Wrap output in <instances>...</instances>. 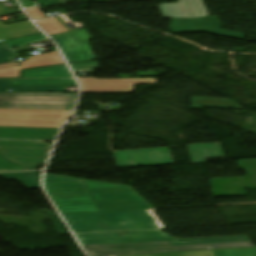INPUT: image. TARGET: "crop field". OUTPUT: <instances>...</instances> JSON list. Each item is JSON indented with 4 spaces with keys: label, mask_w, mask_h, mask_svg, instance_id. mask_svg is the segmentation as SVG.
I'll list each match as a JSON object with an SVG mask.
<instances>
[{
    "label": "crop field",
    "mask_w": 256,
    "mask_h": 256,
    "mask_svg": "<svg viewBox=\"0 0 256 256\" xmlns=\"http://www.w3.org/2000/svg\"><path fill=\"white\" fill-rule=\"evenodd\" d=\"M82 180L88 186L97 211ZM45 188L61 213L153 209L130 186L45 174Z\"/></svg>",
    "instance_id": "obj_1"
},
{
    "label": "crop field",
    "mask_w": 256,
    "mask_h": 256,
    "mask_svg": "<svg viewBox=\"0 0 256 256\" xmlns=\"http://www.w3.org/2000/svg\"><path fill=\"white\" fill-rule=\"evenodd\" d=\"M74 234L159 230L146 210L62 214Z\"/></svg>",
    "instance_id": "obj_2"
},
{
    "label": "crop field",
    "mask_w": 256,
    "mask_h": 256,
    "mask_svg": "<svg viewBox=\"0 0 256 256\" xmlns=\"http://www.w3.org/2000/svg\"><path fill=\"white\" fill-rule=\"evenodd\" d=\"M254 247L252 242L201 244L172 247L170 242L84 246L90 256H121L147 253Z\"/></svg>",
    "instance_id": "obj_3"
},
{
    "label": "crop field",
    "mask_w": 256,
    "mask_h": 256,
    "mask_svg": "<svg viewBox=\"0 0 256 256\" xmlns=\"http://www.w3.org/2000/svg\"><path fill=\"white\" fill-rule=\"evenodd\" d=\"M76 237L78 238L81 245L156 242V241L169 240L172 246H177V245L201 244V243L249 241L247 236L177 240L169 234H164L163 231L116 233V234H88V235H76Z\"/></svg>",
    "instance_id": "obj_4"
},
{
    "label": "crop field",
    "mask_w": 256,
    "mask_h": 256,
    "mask_svg": "<svg viewBox=\"0 0 256 256\" xmlns=\"http://www.w3.org/2000/svg\"><path fill=\"white\" fill-rule=\"evenodd\" d=\"M76 95L63 93H0V108L72 110Z\"/></svg>",
    "instance_id": "obj_5"
},
{
    "label": "crop field",
    "mask_w": 256,
    "mask_h": 256,
    "mask_svg": "<svg viewBox=\"0 0 256 256\" xmlns=\"http://www.w3.org/2000/svg\"><path fill=\"white\" fill-rule=\"evenodd\" d=\"M72 111L0 109V126L61 128Z\"/></svg>",
    "instance_id": "obj_6"
},
{
    "label": "crop field",
    "mask_w": 256,
    "mask_h": 256,
    "mask_svg": "<svg viewBox=\"0 0 256 256\" xmlns=\"http://www.w3.org/2000/svg\"><path fill=\"white\" fill-rule=\"evenodd\" d=\"M52 146L45 142L0 141V155L12 163L35 169L45 163Z\"/></svg>",
    "instance_id": "obj_7"
},
{
    "label": "crop field",
    "mask_w": 256,
    "mask_h": 256,
    "mask_svg": "<svg viewBox=\"0 0 256 256\" xmlns=\"http://www.w3.org/2000/svg\"><path fill=\"white\" fill-rule=\"evenodd\" d=\"M237 163L246 171V177L211 179L214 198L246 196L245 189H256V159L238 160Z\"/></svg>",
    "instance_id": "obj_8"
},
{
    "label": "crop field",
    "mask_w": 256,
    "mask_h": 256,
    "mask_svg": "<svg viewBox=\"0 0 256 256\" xmlns=\"http://www.w3.org/2000/svg\"><path fill=\"white\" fill-rule=\"evenodd\" d=\"M59 45L69 63L96 59L88 40L92 37L86 29L51 36Z\"/></svg>",
    "instance_id": "obj_9"
},
{
    "label": "crop field",
    "mask_w": 256,
    "mask_h": 256,
    "mask_svg": "<svg viewBox=\"0 0 256 256\" xmlns=\"http://www.w3.org/2000/svg\"><path fill=\"white\" fill-rule=\"evenodd\" d=\"M118 168L174 164L169 148L114 152Z\"/></svg>",
    "instance_id": "obj_10"
},
{
    "label": "crop field",
    "mask_w": 256,
    "mask_h": 256,
    "mask_svg": "<svg viewBox=\"0 0 256 256\" xmlns=\"http://www.w3.org/2000/svg\"><path fill=\"white\" fill-rule=\"evenodd\" d=\"M83 93H131L135 84H156L157 79L78 78Z\"/></svg>",
    "instance_id": "obj_11"
},
{
    "label": "crop field",
    "mask_w": 256,
    "mask_h": 256,
    "mask_svg": "<svg viewBox=\"0 0 256 256\" xmlns=\"http://www.w3.org/2000/svg\"><path fill=\"white\" fill-rule=\"evenodd\" d=\"M179 1L160 5L164 18L210 16L202 0Z\"/></svg>",
    "instance_id": "obj_12"
},
{
    "label": "crop field",
    "mask_w": 256,
    "mask_h": 256,
    "mask_svg": "<svg viewBox=\"0 0 256 256\" xmlns=\"http://www.w3.org/2000/svg\"><path fill=\"white\" fill-rule=\"evenodd\" d=\"M60 130L0 127V139L55 141Z\"/></svg>",
    "instance_id": "obj_13"
},
{
    "label": "crop field",
    "mask_w": 256,
    "mask_h": 256,
    "mask_svg": "<svg viewBox=\"0 0 256 256\" xmlns=\"http://www.w3.org/2000/svg\"><path fill=\"white\" fill-rule=\"evenodd\" d=\"M21 11L4 14L0 16L20 13ZM39 34V32L35 29V27L30 23V21H22L13 24L4 25L0 22V42L8 39L23 37Z\"/></svg>",
    "instance_id": "obj_14"
},
{
    "label": "crop field",
    "mask_w": 256,
    "mask_h": 256,
    "mask_svg": "<svg viewBox=\"0 0 256 256\" xmlns=\"http://www.w3.org/2000/svg\"><path fill=\"white\" fill-rule=\"evenodd\" d=\"M191 163H203L206 158L224 157L220 143L187 145Z\"/></svg>",
    "instance_id": "obj_15"
},
{
    "label": "crop field",
    "mask_w": 256,
    "mask_h": 256,
    "mask_svg": "<svg viewBox=\"0 0 256 256\" xmlns=\"http://www.w3.org/2000/svg\"><path fill=\"white\" fill-rule=\"evenodd\" d=\"M134 256H256V248L147 254Z\"/></svg>",
    "instance_id": "obj_16"
},
{
    "label": "crop field",
    "mask_w": 256,
    "mask_h": 256,
    "mask_svg": "<svg viewBox=\"0 0 256 256\" xmlns=\"http://www.w3.org/2000/svg\"><path fill=\"white\" fill-rule=\"evenodd\" d=\"M191 101L192 107H188L191 109L202 110L203 107L242 109L239 104L230 99L191 97Z\"/></svg>",
    "instance_id": "obj_17"
},
{
    "label": "crop field",
    "mask_w": 256,
    "mask_h": 256,
    "mask_svg": "<svg viewBox=\"0 0 256 256\" xmlns=\"http://www.w3.org/2000/svg\"><path fill=\"white\" fill-rule=\"evenodd\" d=\"M24 78H72L71 73L67 69L66 65L23 71Z\"/></svg>",
    "instance_id": "obj_18"
},
{
    "label": "crop field",
    "mask_w": 256,
    "mask_h": 256,
    "mask_svg": "<svg viewBox=\"0 0 256 256\" xmlns=\"http://www.w3.org/2000/svg\"><path fill=\"white\" fill-rule=\"evenodd\" d=\"M40 176H41L40 173H35V172L0 173V177L18 180L29 189L41 188Z\"/></svg>",
    "instance_id": "obj_19"
},
{
    "label": "crop field",
    "mask_w": 256,
    "mask_h": 256,
    "mask_svg": "<svg viewBox=\"0 0 256 256\" xmlns=\"http://www.w3.org/2000/svg\"><path fill=\"white\" fill-rule=\"evenodd\" d=\"M64 91V86H13L12 80H0V91Z\"/></svg>",
    "instance_id": "obj_20"
},
{
    "label": "crop field",
    "mask_w": 256,
    "mask_h": 256,
    "mask_svg": "<svg viewBox=\"0 0 256 256\" xmlns=\"http://www.w3.org/2000/svg\"><path fill=\"white\" fill-rule=\"evenodd\" d=\"M14 85H76L73 79L13 80Z\"/></svg>",
    "instance_id": "obj_21"
},
{
    "label": "crop field",
    "mask_w": 256,
    "mask_h": 256,
    "mask_svg": "<svg viewBox=\"0 0 256 256\" xmlns=\"http://www.w3.org/2000/svg\"><path fill=\"white\" fill-rule=\"evenodd\" d=\"M37 24L49 35L68 32L69 30L62 25L56 18L43 20Z\"/></svg>",
    "instance_id": "obj_22"
},
{
    "label": "crop field",
    "mask_w": 256,
    "mask_h": 256,
    "mask_svg": "<svg viewBox=\"0 0 256 256\" xmlns=\"http://www.w3.org/2000/svg\"><path fill=\"white\" fill-rule=\"evenodd\" d=\"M20 70L18 63L1 65L0 78H18L20 77Z\"/></svg>",
    "instance_id": "obj_23"
},
{
    "label": "crop field",
    "mask_w": 256,
    "mask_h": 256,
    "mask_svg": "<svg viewBox=\"0 0 256 256\" xmlns=\"http://www.w3.org/2000/svg\"><path fill=\"white\" fill-rule=\"evenodd\" d=\"M48 38L45 37L43 34L39 35H34V36H29V37H24V38H18V39H13V40H8L5 41L11 48L29 44L32 42H39L43 40H47Z\"/></svg>",
    "instance_id": "obj_24"
},
{
    "label": "crop field",
    "mask_w": 256,
    "mask_h": 256,
    "mask_svg": "<svg viewBox=\"0 0 256 256\" xmlns=\"http://www.w3.org/2000/svg\"><path fill=\"white\" fill-rule=\"evenodd\" d=\"M17 57V52L12 50L5 42L0 43V63L10 62Z\"/></svg>",
    "instance_id": "obj_25"
},
{
    "label": "crop field",
    "mask_w": 256,
    "mask_h": 256,
    "mask_svg": "<svg viewBox=\"0 0 256 256\" xmlns=\"http://www.w3.org/2000/svg\"><path fill=\"white\" fill-rule=\"evenodd\" d=\"M70 66L73 69L74 73L94 72L91 69H95L99 67L97 62L78 63V64H72Z\"/></svg>",
    "instance_id": "obj_26"
},
{
    "label": "crop field",
    "mask_w": 256,
    "mask_h": 256,
    "mask_svg": "<svg viewBox=\"0 0 256 256\" xmlns=\"http://www.w3.org/2000/svg\"><path fill=\"white\" fill-rule=\"evenodd\" d=\"M21 170H26V169L16 166L12 163H9L0 157V172L21 171Z\"/></svg>",
    "instance_id": "obj_27"
},
{
    "label": "crop field",
    "mask_w": 256,
    "mask_h": 256,
    "mask_svg": "<svg viewBox=\"0 0 256 256\" xmlns=\"http://www.w3.org/2000/svg\"><path fill=\"white\" fill-rule=\"evenodd\" d=\"M26 12L33 20L46 18L47 16L42 13L37 7L27 9Z\"/></svg>",
    "instance_id": "obj_28"
},
{
    "label": "crop field",
    "mask_w": 256,
    "mask_h": 256,
    "mask_svg": "<svg viewBox=\"0 0 256 256\" xmlns=\"http://www.w3.org/2000/svg\"><path fill=\"white\" fill-rule=\"evenodd\" d=\"M155 72H157V71L145 72V73L140 72V73H138V76H156L157 73H155Z\"/></svg>",
    "instance_id": "obj_29"
},
{
    "label": "crop field",
    "mask_w": 256,
    "mask_h": 256,
    "mask_svg": "<svg viewBox=\"0 0 256 256\" xmlns=\"http://www.w3.org/2000/svg\"><path fill=\"white\" fill-rule=\"evenodd\" d=\"M119 77H132V76H129V75H119Z\"/></svg>",
    "instance_id": "obj_30"
},
{
    "label": "crop field",
    "mask_w": 256,
    "mask_h": 256,
    "mask_svg": "<svg viewBox=\"0 0 256 256\" xmlns=\"http://www.w3.org/2000/svg\"><path fill=\"white\" fill-rule=\"evenodd\" d=\"M4 11H3V9L0 7V13H3Z\"/></svg>",
    "instance_id": "obj_31"
}]
</instances>
